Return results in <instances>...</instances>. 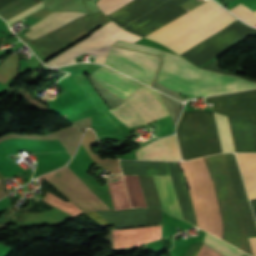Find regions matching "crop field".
Segmentation results:
<instances>
[{"mask_svg":"<svg viewBox=\"0 0 256 256\" xmlns=\"http://www.w3.org/2000/svg\"><path fill=\"white\" fill-rule=\"evenodd\" d=\"M162 224V210L147 209L146 225Z\"/></svg>","mask_w":256,"mask_h":256,"instance_id":"23","label":"crop field"},{"mask_svg":"<svg viewBox=\"0 0 256 256\" xmlns=\"http://www.w3.org/2000/svg\"><path fill=\"white\" fill-rule=\"evenodd\" d=\"M229 11H231L233 14H235L246 23L253 26L256 25V11L253 12L241 4Z\"/></svg>","mask_w":256,"mask_h":256,"instance_id":"21","label":"crop field"},{"mask_svg":"<svg viewBox=\"0 0 256 256\" xmlns=\"http://www.w3.org/2000/svg\"><path fill=\"white\" fill-rule=\"evenodd\" d=\"M131 0H99L96 4L106 15L117 10ZM166 0H133L118 9L109 17L120 26L131 23Z\"/></svg>","mask_w":256,"mask_h":256,"instance_id":"7","label":"crop field"},{"mask_svg":"<svg viewBox=\"0 0 256 256\" xmlns=\"http://www.w3.org/2000/svg\"><path fill=\"white\" fill-rule=\"evenodd\" d=\"M122 174L169 175L165 162L120 161Z\"/></svg>","mask_w":256,"mask_h":256,"instance_id":"14","label":"crop field"},{"mask_svg":"<svg viewBox=\"0 0 256 256\" xmlns=\"http://www.w3.org/2000/svg\"><path fill=\"white\" fill-rule=\"evenodd\" d=\"M197 256H221L206 245L203 244L201 250L199 251Z\"/></svg>","mask_w":256,"mask_h":256,"instance_id":"26","label":"crop field"},{"mask_svg":"<svg viewBox=\"0 0 256 256\" xmlns=\"http://www.w3.org/2000/svg\"><path fill=\"white\" fill-rule=\"evenodd\" d=\"M163 209L174 216L183 218L181 208L170 176H153Z\"/></svg>","mask_w":256,"mask_h":256,"instance_id":"13","label":"crop field"},{"mask_svg":"<svg viewBox=\"0 0 256 256\" xmlns=\"http://www.w3.org/2000/svg\"><path fill=\"white\" fill-rule=\"evenodd\" d=\"M214 115L223 152H235L227 117L217 113Z\"/></svg>","mask_w":256,"mask_h":256,"instance_id":"17","label":"crop field"},{"mask_svg":"<svg viewBox=\"0 0 256 256\" xmlns=\"http://www.w3.org/2000/svg\"><path fill=\"white\" fill-rule=\"evenodd\" d=\"M0 178H3V176L0 174Z\"/></svg>","mask_w":256,"mask_h":256,"instance_id":"29","label":"crop field"},{"mask_svg":"<svg viewBox=\"0 0 256 256\" xmlns=\"http://www.w3.org/2000/svg\"><path fill=\"white\" fill-rule=\"evenodd\" d=\"M85 14L76 12H53L36 22L32 26L28 27L31 31L24 34L31 39H36L78 17L84 16Z\"/></svg>","mask_w":256,"mask_h":256,"instance_id":"12","label":"crop field"},{"mask_svg":"<svg viewBox=\"0 0 256 256\" xmlns=\"http://www.w3.org/2000/svg\"><path fill=\"white\" fill-rule=\"evenodd\" d=\"M186 1L187 0H168L125 29L144 37L185 14L187 11L179 5Z\"/></svg>","mask_w":256,"mask_h":256,"instance_id":"8","label":"crop field"},{"mask_svg":"<svg viewBox=\"0 0 256 256\" xmlns=\"http://www.w3.org/2000/svg\"><path fill=\"white\" fill-rule=\"evenodd\" d=\"M102 12L78 18L60 29L31 42L34 48L46 59L66 46L78 41L96 27L107 22Z\"/></svg>","mask_w":256,"mask_h":256,"instance_id":"6","label":"crop field"},{"mask_svg":"<svg viewBox=\"0 0 256 256\" xmlns=\"http://www.w3.org/2000/svg\"><path fill=\"white\" fill-rule=\"evenodd\" d=\"M90 75L94 77L104 88L124 99L139 88L140 85H142L105 66L101 67Z\"/></svg>","mask_w":256,"mask_h":256,"instance_id":"9","label":"crop field"},{"mask_svg":"<svg viewBox=\"0 0 256 256\" xmlns=\"http://www.w3.org/2000/svg\"><path fill=\"white\" fill-rule=\"evenodd\" d=\"M161 238V225L113 231L114 248L136 246Z\"/></svg>","mask_w":256,"mask_h":256,"instance_id":"11","label":"crop field"},{"mask_svg":"<svg viewBox=\"0 0 256 256\" xmlns=\"http://www.w3.org/2000/svg\"><path fill=\"white\" fill-rule=\"evenodd\" d=\"M226 115L256 114V90L208 97ZM183 160L222 152L213 112H186L177 132Z\"/></svg>","mask_w":256,"mask_h":256,"instance_id":"2","label":"crop field"},{"mask_svg":"<svg viewBox=\"0 0 256 256\" xmlns=\"http://www.w3.org/2000/svg\"><path fill=\"white\" fill-rule=\"evenodd\" d=\"M253 117H254L255 128H256V115H253Z\"/></svg>","mask_w":256,"mask_h":256,"instance_id":"28","label":"crop field"},{"mask_svg":"<svg viewBox=\"0 0 256 256\" xmlns=\"http://www.w3.org/2000/svg\"><path fill=\"white\" fill-rule=\"evenodd\" d=\"M249 240L253 251V255L256 256V238H251Z\"/></svg>","mask_w":256,"mask_h":256,"instance_id":"27","label":"crop field"},{"mask_svg":"<svg viewBox=\"0 0 256 256\" xmlns=\"http://www.w3.org/2000/svg\"><path fill=\"white\" fill-rule=\"evenodd\" d=\"M140 160H179L175 136L154 140L136 151Z\"/></svg>","mask_w":256,"mask_h":256,"instance_id":"10","label":"crop field"},{"mask_svg":"<svg viewBox=\"0 0 256 256\" xmlns=\"http://www.w3.org/2000/svg\"><path fill=\"white\" fill-rule=\"evenodd\" d=\"M109 111L128 127L148 124L169 115L159 94L143 85L121 106Z\"/></svg>","mask_w":256,"mask_h":256,"instance_id":"5","label":"crop field"},{"mask_svg":"<svg viewBox=\"0 0 256 256\" xmlns=\"http://www.w3.org/2000/svg\"><path fill=\"white\" fill-rule=\"evenodd\" d=\"M229 171L232 185L236 194L237 201H246L247 195L238 169V165L234 154H223Z\"/></svg>","mask_w":256,"mask_h":256,"instance_id":"16","label":"crop field"},{"mask_svg":"<svg viewBox=\"0 0 256 256\" xmlns=\"http://www.w3.org/2000/svg\"><path fill=\"white\" fill-rule=\"evenodd\" d=\"M141 37L134 35L114 22L101 27L94 34L70 47L54 59L45 63L47 66L58 67L76 62L74 58L83 53L96 55L94 62L105 63L110 46L117 40L136 42Z\"/></svg>","mask_w":256,"mask_h":256,"instance_id":"4","label":"crop field"},{"mask_svg":"<svg viewBox=\"0 0 256 256\" xmlns=\"http://www.w3.org/2000/svg\"><path fill=\"white\" fill-rule=\"evenodd\" d=\"M148 207H161L152 176H138ZM162 208V207H161Z\"/></svg>","mask_w":256,"mask_h":256,"instance_id":"18","label":"crop field"},{"mask_svg":"<svg viewBox=\"0 0 256 256\" xmlns=\"http://www.w3.org/2000/svg\"><path fill=\"white\" fill-rule=\"evenodd\" d=\"M1 189V188H0Z\"/></svg>","mask_w":256,"mask_h":256,"instance_id":"30","label":"crop field"},{"mask_svg":"<svg viewBox=\"0 0 256 256\" xmlns=\"http://www.w3.org/2000/svg\"><path fill=\"white\" fill-rule=\"evenodd\" d=\"M115 45L155 54L161 52L145 45L118 40ZM161 54L164 61L157 81L183 94L208 96L256 88V83L199 69L178 55L164 51ZM159 61L157 56L111 46L105 64L149 85L157 72Z\"/></svg>","mask_w":256,"mask_h":256,"instance_id":"1","label":"crop field"},{"mask_svg":"<svg viewBox=\"0 0 256 256\" xmlns=\"http://www.w3.org/2000/svg\"><path fill=\"white\" fill-rule=\"evenodd\" d=\"M203 243L221 252L225 256H241L244 252L206 233Z\"/></svg>","mask_w":256,"mask_h":256,"instance_id":"20","label":"crop field"},{"mask_svg":"<svg viewBox=\"0 0 256 256\" xmlns=\"http://www.w3.org/2000/svg\"><path fill=\"white\" fill-rule=\"evenodd\" d=\"M175 188L176 189H182L187 188L185 179L180 172L176 162H167Z\"/></svg>","mask_w":256,"mask_h":256,"instance_id":"22","label":"crop field"},{"mask_svg":"<svg viewBox=\"0 0 256 256\" xmlns=\"http://www.w3.org/2000/svg\"><path fill=\"white\" fill-rule=\"evenodd\" d=\"M43 7H44L43 3H40V4L32 7L30 9H28V10H26V11H24V12H22V13L16 15V16H14V17L6 20V21L8 22L9 26H11L14 22L22 19L23 17H25V16H27V15H29V14H31V13H33V12H35V11L41 9V8H43Z\"/></svg>","mask_w":256,"mask_h":256,"instance_id":"24","label":"crop field"},{"mask_svg":"<svg viewBox=\"0 0 256 256\" xmlns=\"http://www.w3.org/2000/svg\"><path fill=\"white\" fill-rule=\"evenodd\" d=\"M202 69H206V70H210V71H214V72H218V73H222V74L234 75V76H238V77L244 78L246 80H249L251 82H256V80H254V79H250V78L240 76L237 74L228 73L226 71L219 69L216 59L214 61H212L211 63L207 64L206 66H204Z\"/></svg>","mask_w":256,"mask_h":256,"instance_id":"25","label":"crop field"},{"mask_svg":"<svg viewBox=\"0 0 256 256\" xmlns=\"http://www.w3.org/2000/svg\"><path fill=\"white\" fill-rule=\"evenodd\" d=\"M249 198H256V154H236Z\"/></svg>","mask_w":256,"mask_h":256,"instance_id":"15","label":"crop field"},{"mask_svg":"<svg viewBox=\"0 0 256 256\" xmlns=\"http://www.w3.org/2000/svg\"><path fill=\"white\" fill-rule=\"evenodd\" d=\"M223 11H225V10L222 9L220 6H218L216 3H214L212 0H207L205 3L201 4L200 6L196 7L195 9L186 13L185 15L179 17L178 19L172 21L171 23L165 25L164 27L158 29L157 31L151 33L150 35L146 36L145 38L155 40L164 45V44L170 42L171 40L179 37L180 35L186 33L187 31L193 29L194 27L209 20L210 18L218 15L219 13H221ZM225 13H227V12L225 11V12L219 14L218 16L210 19L209 21L203 23L202 25L196 27L195 29H193V30L187 32L186 34L180 36L179 38L171 41L170 43L166 44L165 46L175 42L176 40L184 37L185 35L193 32L194 30L200 28L201 26L209 23L210 21L218 18L219 16H221ZM231 17H233V16H231L230 14L227 13L167 47H169L170 49H172L174 51V50L178 49L179 47L185 45L186 43L190 42L191 40L202 35L203 33L214 28L215 26L221 24L222 22L226 21L227 19H229ZM234 20H236V18H234V17L229 19L228 21L222 23L221 25L210 30L209 32L205 33L204 35H202V36L198 37L197 39L193 40L192 42L186 44L185 46L181 47L180 49L176 50L175 52L178 54L185 52L192 46L203 41L205 38L211 36L212 34L219 31L220 29H223L225 26L232 23Z\"/></svg>","mask_w":256,"mask_h":256,"instance_id":"3","label":"crop field"},{"mask_svg":"<svg viewBox=\"0 0 256 256\" xmlns=\"http://www.w3.org/2000/svg\"><path fill=\"white\" fill-rule=\"evenodd\" d=\"M40 2L42 0H17L0 9V16L6 20Z\"/></svg>","mask_w":256,"mask_h":256,"instance_id":"19","label":"crop field"}]
</instances>
